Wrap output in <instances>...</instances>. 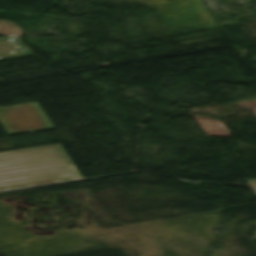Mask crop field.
<instances>
[{"label": "crop field", "instance_id": "3", "mask_svg": "<svg viewBox=\"0 0 256 256\" xmlns=\"http://www.w3.org/2000/svg\"><path fill=\"white\" fill-rule=\"evenodd\" d=\"M21 31L22 28L13 21L0 19V35L12 36L0 38V60L32 55L30 49L22 45L17 37Z\"/></svg>", "mask_w": 256, "mask_h": 256}, {"label": "crop field", "instance_id": "4", "mask_svg": "<svg viewBox=\"0 0 256 256\" xmlns=\"http://www.w3.org/2000/svg\"><path fill=\"white\" fill-rule=\"evenodd\" d=\"M247 182L256 190V180L255 181H247Z\"/></svg>", "mask_w": 256, "mask_h": 256}, {"label": "crop field", "instance_id": "2", "mask_svg": "<svg viewBox=\"0 0 256 256\" xmlns=\"http://www.w3.org/2000/svg\"><path fill=\"white\" fill-rule=\"evenodd\" d=\"M0 125L6 135L54 128L37 102L0 107Z\"/></svg>", "mask_w": 256, "mask_h": 256}, {"label": "crop field", "instance_id": "1", "mask_svg": "<svg viewBox=\"0 0 256 256\" xmlns=\"http://www.w3.org/2000/svg\"><path fill=\"white\" fill-rule=\"evenodd\" d=\"M60 146L0 153V190L82 178Z\"/></svg>", "mask_w": 256, "mask_h": 256}]
</instances>
